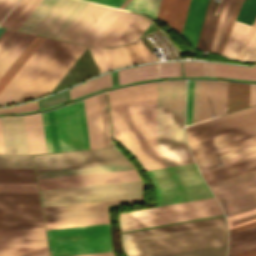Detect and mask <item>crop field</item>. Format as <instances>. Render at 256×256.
Returning <instances> with one entry per match:
<instances>
[{"mask_svg":"<svg viewBox=\"0 0 256 256\" xmlns=\"http://www.w3.org/2000/svg\"><path fill=\"white\" fill-rule=\"evenodd\" d=\"M185 81L135 85L108 92L114 138L145 170L194 162L184 142ZM157 97V120L156 119Z\"/></svg>","mask_w":256,"mask_h":256,"instance_id":"1","label":"crop field"},{"mask_svg":"<svg viewBox=\"0 0 256 256\" xmlns=\"http://www.w3.org/2000/svg\"><path fill=\"white\" fill-rule=\"evenodd\" d=\"M226 223L124 240L128 256H153L194 248L224 244Z\"/></svg>","mask_w":256,"mask_h":256,"instance_id":"2","label":"crop field"},{"mask_svg":"<svg viewBox=\"0 0 256 256\" xmlns=\"http://www.w3.org/2000/svg\"><path fill=\"white\" fill-rule=\"evenodd\" d=\"M147 172L156 188L157 206L212 197L194 163Z\"/></svg>","mask_w":256,"mask_h":256,"instance_id":"3","label":"crop field"},{"mask_svg":"<svg viewBox=\"0 0 256 256\" xmlns=\"http://www.w3.org/2000/svg\"><path fill=\"white\" fill-rule=\"evenodd\" d=\"M221 214L222 209L210 198L122 213L119 222L125 231Z\"/></svg>","mask_w":256,"mask_h":256,"instance_id":"4","label":"crop field"},{"mask_svg":"<svg viewBox=\"0 0 256 256\" xmlns=\"http://www.w3.org/2000/svg\"><path fill=\"white\" fill-rule=\"evenodd\" d=\"M52 256L112 251L108 224L47 230Z\"/></svg>","mask_w":256,"mask_h":256,"instance_id":"5","label":"crop field"},{"mask_svg":"<svg viewBox=\"0 0 256 256\" xmlns=\"http://www.w3.org/2000/svg\"><path fill=\"white\" fill-rule=\"evenodd\" d=\"M86 4L79 0H41L18 29L59 39Z\"/></svg>","mask_w":256,"mask_h":256,"instance_id":"6","label":"crop field"},{"mask_svg":"<svg viewBox=\"0 0 256 256\" xmlns=\"http://www.w3.org/2000/svg\"><path fill=\"white\" fill-rule=\"evenodd\" d=\"M0 229H45L38 194H0Z\"/></svg>","mask_w":256,"mask_h":256,"instance_id":"7","label":"crop field"},{"mask_svg":"<svg viewBox=\"0 0 256 256\" xmlns=\"http://www.w3.org/2000/svg\"><path fill=\"white\" fill-rule=\"evenodd\" d=\"M144 185L142 181H136V182H126V183H116V184H106V185H96V186L45 190V191H40V193H41L43 206H48V205L68 204V203L95 201V200H103V199H118V198L143 196ZM110 192H122V193H113V194H105V195H97V196H89V197H81V198H71V199L50 200V199L62 198V197L110 193Z\"/></svg>","mask_w":256,"mask_h":256,"instance_id":"8","label":"crop field"},{"mask_svg":"<svg viewBox=\"0 0 256 256\" xmlns=\"http://www.w3.org/2000/svg\"><path fill=\"white\" fill-rule=\"evenodd\" d=\"M63 43V41L45 38L0 92V105L15 103Z\"/></svg>","mask_w":256,"mask_h":256,"instance_id":"9","label":"crop field"},{"mask_svg":"<svg viewBox=\"0 0 256 256\" xmlns=\"http://www.w3.org/2000/svg\"><path fill=\"white\" fill-rule=\"evenodd\" d=\"M224 211L236 214L256 208V170L209 184Z\"/></svg>","mask_w":256,"mask_h":256,"instance_id":"10","label":"crop field"},{"mask_svg":"<svg viewBox=\"0 0 256 256\" xmlns=\"http://www.w3.org/2000/svg\"><path fill=\"white\" fill-rule=\"evenodd\" d=\"M86 48L65 42L18 101L50 93Z\"/></svg>","mask_w":256,"mask_h":256,"instance_id":"11","label":"crop field"},{"mask_svg":"<svg viewBox=\"0 0 256 256\" xmlns=\"http://www.w3.org/2000/svg\"><path fill=\"white\" fill-rule=\"evenodd\" d=\"M55 112L62 151L89 149L82 100Z\"/></svg>","mask_w":256,"mask_h":256,"instance_id":"12","label":"crop field"},{"mask_svg":"<svg viewBox=\"0 0 256 256\" xmlns=\"http://www.w3.org/2000/svg\"><path fill=\"white\" fill-rule=\"evenodd\" d=\"M0 256H50L45 230H0Z\"/></svg>","mask_w":256,"mask_h":256,"instance_id":"13","label":"crop field"},{"mask_svg":"<svg viewBox=\"0 0 256 256\" xmlns=\"http://www.w3.org/2000/svg\"><path fill=\"white\" fill-rule=\"evenodd\" d=\"M143 197L43 207L46 222L108 216L107 205L135 203Z\"/></svg>","mask_w":256,"mask_h":256,"instance_id":"14","label":"crop field"},{"mask_svg":"<svg viewBox=\"0 0 256 256\" xmlns=\"http://www.w3.org/2000/svg\"><path fill=\"white\" fill-rule=\"evenodd\" d=\"M150 22L122 10L94 46H115L134 42Z\"/></svg>","mask_w":256,"mask_h":256,"instance_id":"15","label":"crop field"},{"mask_svg":"<svg viewBox=\"0 0 256 256\" xmlns=\"http://www.w3.org/2000/svg\"><path fill=\"white\" fill-rule=\"evenodd\" d=\"M141 180L136 170L38 179L40 190Z\"/></svg>","mask_w":256,"mask_h":256,"instance_id":"16","label":"crop field"},{"mask_svg":"<svg viewBox=\"0 0 256 256\" xmlns=\"http://www.w3.org/2000/svg\"><path fill=\"white\" fill-rule=\"evenodd\" d=\"M112 149V148H108ZM103 150V149H98ZM93 151V150H87ZM84 152V151H76ZM75 153V152H66ZM66 153L36 155L47 156ZM127 159V158H126ZM117 150L34 158L36 169L126 160Z\"/></svg>","mask_w":256,"mask_h":256,"instance_id":"17","label":"crop field"},{"mask_svg":"<svg viewBox=\"0 0 256 256\" xmlns=\"http://www.w3.org/2000/svg\"><path fill=\"white\" fill-rule=\"evenodd\" d=\"M256 124V110L187 131L188 144L197 143Z\"/></svg>","mask_w":256,"mask_h":256,"instance_id":"18","label":"crop field"},{"mask_svg":"<svg viewBox=\"0 0 256 256\" xmlns=\"http://www.w3.org/2000/svg\"><path fill=\"white\" fill-rule=\"evenodd\" d=\"M227 82L201 81L199 121L209 114L226 113Z\"/></svg>","mask_w":256,"mask_h":256,"instance_id":"19","label":"crop field"},{"mask_svg":"<svg viewBox=\"0 0 256 256\" xmlns=\"http://www.w3.org/2000/svg\"><path fill=\"white\" fill-rule=\"evenodd\" d=\"M256 16V0H244L234 24L251 25ZM250 26L234 25L223 55L235 59Z\"/></svg>","mask_w":256,"mask_h":256,"instance_id":"20","label":"crop field"},{"mask_svg":"<svg viewBox=\"0 0 256 256\" xmlns=\"http://www.w3.org/2000/svg\"><path fill=\"white\" fill-rule=\"evenodd\" d=\"M0 121L5 154H29L23 116L2 117Z\"/></svg>","mask_w":256,"mask_h":256,"instance_id":"21","label":"crop field"},{"mask_svg":"<svg viewBox=\"0 0 256 256\" xmlns=\"http://www.w3.org/2000/svg\"><path fill=\"white\" fill-rule=\"evenodd\" d=\"M134 169L128 161L36 170L38 178Z\"/></svg>","mask_w":256,"mask_h":256,"instance_id":"22","label":"crop field"},{"mask_svg":"<svg viewBox=\"0 0 256 256\" xmlns=\"http://www.w3.org/2000/svg\"><path fill=\"white\" fill-rule=\"evenodd\" d=\"M119 84L135 80L177 76L175 62L136 66L117 71Z\"/></svg>","mask_w":256,"mask_h":256,"instance_id":"23","label":"crop field"},{"mask_svg":"<svg viewBox=\"0 0 256 256\" xmlns=\"http://www.w3.org/2000/svg\"><path fill=\"white\" fill-rule=\"evenodd\" d=\"M104 8L88 3L60 39L77 43Z\"/></svg>","mask_w":256,"mask_h":256,"instance_id":"24","label":"crop field"},{"mask_svg":"<svg viewBox=\"0 0 256 256\" xmlns=\"http://www.w3.org/2000/svg\"><path fill=\"white\" fill-rule=\"evenodd\" d=\"M207 2V0H190L182 36H184L193 47H196Z\"/></svg>","mask_w":256,"mask_h":256,"instance_id":"25","label":"crop field"},{"mask_svg":"<svg viewBox=\"0 0 256 256\" xmlns=\"http://www.w3.org/2000/svg\"><path fill=\"white\" fill-rule=\"evenodd\" d=\"M188 3L189 0H161L156 18L165 21L180 35Z\"/></svg>","mask_w":256,"mask_h":256,"instance_id":"26","label":"crop field"},{"mask_svg":"<svg viewBox=\"0 0 256 256\" xmlns=\"http://www.w3.org/2000/svg\"><path fill=\"white\" fill-rule=\"evenodd\" d=\"M256 136V125L239 131H235L223 136L206 140L197 144L190 145L192 154H198L204 151L215 149L221 146L232 144L238 141L249 139Z\"/></svg>","mask_w":256,"mask_h":256,"instance_id":"27","label":"crop field"},{"mask_svg":"<svg viewBox=\"0 0 256 256\" xmlns=\"http://www.w3.org/2000/svg\"><path fill=\"white\" fill-rule=\"evenodd\" d=\"M211 1L212 0H209L208 6L206 9L204 21L202 24L201 32H200L197 47H196L197 49H199L200 46L208 47V48L211 47L212 39L214 36L215 28L217 25L218 17H219L221 6H222L218 4H222L223 0H213L214 3H218V4L211 3ZM203 47H201L200 49H204L208 51L210 50L208 48H203Z\"/></svg>","mask_w":256,"mask_h":256,"instance_id":"28","label":"crop field"},{"mask_svg":"<svg viewBox=\"0 0 256 256\" xmlns=\"http://www.w3.org/2000/svg\"><path fill=\"white\" fill-rule=\"evenodd\" d=\"M24 119L30 154L46 153L40 113Z\"/></svg>","mask_w":256,"mask_h":256,"instance_id":"29","label":"crop field"},{"mask_svg":"<svg viewBox=\"0 0 256 256\" xmlns=\"http://www.w3.org/2000/svg\"><path fill=\"white\" fill-rule=\"evenodd\" d=\"M120 11V9L106 7L78 43L93 46Z\"/></svg>","mask_w":256,"mask_h":256,"instance_id":"30","label":"crop field"},{"mask_svg":"<svg viewBox=\"0 0 256 256\" xmlns=\"http://www.w3.org/2000/svg\"><path fill=\"white\" fill-rule=\"evenodd\" d=\"M90 149L102 147L95 96L84 99Z\"/></svg>","mask_w":256,"mask_h":256,"instance_id":"31","label":"crop field"},{"mask_svg":"<svg viewBox=\"0 0 256 256\" xmlns=\"http://www.w3.org/2000/svg\"><path fill=\"white\" fill-rule=\"evenodd\" d=\"M249 84L228 82L227 113L248 106Z\"/></svg>","mask_w":256,"mask_h":256,"instance_id":"32","label":"crop field"},{"mask_svg":"<svg viewBox=\"0 0 256 256\" xmlns=\"http://www.w3.org/2000/svg\"><path fill=\"white\" fill-rule=\"evenodd\" d=\"M44 37L35 35V37L30 41V43L25 47L21 54L16 58L8 70L0 78V91L9 82V80L14 76L18 69L23 65V63L28 59V57L33 53V51L38 47V45L43 41Z\"/></svg>","mask_w":256,"mask_h":256,"instance_id":"33","label":"crop field"},{"mask_svg":"<svg viewBox=\"0 0 256 256\" xmlns=\"http://www.w3.org/2000/svg\"><path fill=\"white\" fill-rule=\"evenodd\" d=\"M222 222H225L224 217L167 226V227H161V228H155V229H149V230H143V231H137V232H131V233H125V234H122V240L144 236V235H150V234H156V233H162V232H168V231H174V230H180V229H186V228H192V227H198V226H204V225H210V224H216V223H222Z\"/></svg>","mask_w":256,"mask_h":256,"instance_id":"34","label":"crop field"},{"mask_svg":"<svg viewBox=\"0 0 256 256\" xmlns=\"http://www.w3.org/2000/svg\"><path fill=\"white\" fill-rule=\"evenodd\" d=\"M39 1L40 0H21L0 25L17 29Z\"/></svg>","mask_w":256,"mask_h":256,"instance_id":"35","label":"crop field"},{"mask_svg":"<svg viewBox=\"0 0 256 256\" xmlns=\"http://www.w3.org/2000/svg\"><path fill=\"white\" fill-rule=\"evenodd\" d=\"M217 77L256 80V66H233L214 63Z\"/></svg>","mask_w":256,"mask_h":256,"instance_id":"36","label":"crop field"},{"mask_svg":"<svg viewBox=\"0 0 256 256\" xmlns=\"http://www.w3.org/2000/svg\"><path fill=\"white\" fill-rule=\"evenodd\" d=\"M54 152L61 151L55 113L48 112ZM47 112L41 113L47 153L53 152Z\"/></svg>","mask_w":256,"mask_h":256,"instance_id":"37","label":"crop field"},{"mask_svg":"<svg viewBox=\"0 0 256 256\" xmlns=\"http://www.w3.org/2000/svg\"><path fill=\"white\" fill-rule=\"evenodd\" d=\"M112 86L110 73L71 88L73 99L88 92Z\"/></svg>","mask_w":256,"mask_h":256,"instance_id":"38","label":"crop field"},{"mask_svg":"<svg viewBox=\"0 0 256 256\" xmlns=\"http://www.w3.org/2000/svg\"><path fill=\"white\" fill-rule=\"evenodd\" d=\"M0 182H36L34 169H0Z\"/></svg>","mask_w":256,"mask_h":256,"instance_id":"39","label":"crop field"},{"mask_svg":"<svg viewBox=\"0 0 256 256\" xmlns=\"http://www.w3.org/2000/svg\"><path fill=\"white\" fill-rule=\"evenodd\" d=\"M33 36V34L24 33L23 36L14 45V47L10 50V52L5 56V58L0 63V77L15 60V58L20 54L28 42L33 38Z\"/></svg>","mask_w":256,"mask_h":256,"instance_id":"40","label":"crop field"},{"mask_svg":"<svg viewBox=\"0 0 256 256\" xmlns=\"http://www.w3.org/2000/svg\"><path fill=\"white\" fill-rule=\"evenodd\" d=\"M254 144H256V137L252 138V139H249V140L242 141V142H238V143H235V144H232V145L221 147V148H218V149H215V150L204 152V153H201V154H198V155H194L193 157L196 160V162H198V161L210 158V157H214V156H217V155H220V154H224V153L234 151V150H237V149H240V148H244V147H247V146H251V145H254Z\"/></svg>","mask_w":256,"mask_h":256,"instance_id":"41","label":"crop field"},{"mask_svg":"<svg viewBox=\"0 0 256 256\" xmlns=\"http://www.w3.org/2000/svg\"><path fill=\"white\" fill-rule=\"evenodd\" d=\"M159 2L160 0H131L125 9L156 17Z\"/></svg>","mask_w":256,"mask_h":256,"instance_id":"42","label":"crop field"},{"mask_svg":"<svg viewBox=\"0 0 256 256\" xmlns=\"http://www.w3.org/2000/svg\"><path fill=\"white\" fill-rule=\"evenodd\" d=\"M226 244L162 256H225Z\"/></svg>","mask_w":256,"mask_h":256,"instance_id":"43","label":"crop field"},{"mask_svg":"<svg viewBox=\"0 0 256 256\" xmlns=\"http://www.w3.org/2000/svg\"><path fill=\"white\" fill-rule=\"evenodd\" d=\"M0 168H34L30 156H0Z\"/></svg>","mask_w":256,"mask_h":256,"instance_id":"44","label":"crop field"},{"mask_svg":"<svg viewBox=\"0 0 256 256\" xmlns=\"http://www.w3.org/2000/svg\"><path fill=\"white\" fill-rule=\"evenodd\" d=\"M0 193H38L36 183H0Z\"/></svg>","mask_w":256,"mask_h":256,"instance_id":"45","label":"crop field"},{"mask_svg":"<svg viewBox=\"0 0 256 256\" xmlns=\"http://www.w3.org/2000/svg\"><path fill=\"white\" fill-rule=\"evenodd\" d=\"M114 68L132 64L124 47L105 48Z\"/></svg>","mask_w":256,"mask_h":256,"instance_id":"46","label":"crop field"},{"mask_svg":"<svg viewBox=\"0 0 256 256\" xmlns=\"http://www.w3.org/2000/svg\"><path fill=\"white\" fill-rule=\"evenodd\" d=\"M253 157H256V149L251 150V151H247V152L235 155V156H231V157H228V158H225V159H222V160H218V161L206 164V165L199 166V169L214 165L215 163L221 162V161H223L224 165L226 166V165H230V164H233V163H236V162H239V161H243V160H246V159H249V158H253ZM216 168H218V167L215 166V167H212V168H209V169L201 170V173L206 172V171H210V170H213V169H216Z\"/></svg>","mask_w":256,"mask_h":256,"instance_id":"47","label":"crop field"},{"mask_svg":"<svg viewBox=\"0 0 256 256\" xmlns=\"http://www.w3.org/2000/svg\"><path fill=\"white\" fill-rule=\"evenodd\" d=\"M228 227L233 228L246 223L256 221V209L227 217Z\"/></svg>","mask_w":256,"mask_h":256,"instance_id":"48","label":"crop field"},{"mask_svg":"<svg viewBox=\"0 0 256 256\" xmlns=\"http://www.w3.org/2000/svg\"><path fill=\"white\" fill-rule=\"evenodd\" d=\"M100 72L113 69V66L104 50V48H89Z\"/></svg>","mask_w":256,"mask_h":256,"instance_id":"49","label":"crop field"},{"mask_svg":"<svg viewBox=\"0 0 256 256\" xmlns=\"http://www.w3.org/2000/svg\"><path fill=\"white\" fill-rule=\"evenodd\" d=\"M107 147L113 146L105 94H99Z\"/></svg>","mask_w":256,"mask_h":256,"instance_id":"50","label":"crop field"},{"mask_svg":"<svg viewBox=\"0 0 256 256\" xmlns=\"http://www.w3.org/2000/svg\"><path fill=\"white\" fill-rule=\"evenodd\" d=\"M256 238V227L229 235L228 247Z\"/></svg>","mask_w":256,"mask_h":256,"instance_id":"51","label":"crop field"},{"mask_svg":"<svg viewBox=\"0 0 256 256\" xmlns=\"http://www.w3.org/2000/svg\"><path fill=\"white\" fill-rule=\"evenodd\" d=\"M23 32L13 30L12 33L7 37V39L0 46V61L8 53V51L13 47L17 40L22 36Z\"/></svg>","mask_w":256,"mask_h":256,"instance_id":"52","label":"crop field"},{"mask_svg":"<svg viewBox=\"0 0 256 256\" xmlns=\"http://www.w3.org/2000/svg\"><path fill=\"white\" fill-rule=\"evenodd\" d=\"M68 99H69L68 92L66 90L62 93H59V94L55 95V96H52V97H49V98H46V99H43V100H39L38 101L39 109L43 108V107H49V106H52V105H55V104L62 103L64 101L68 100Z\"/></svg>","mask_w":256,"mask_h":256,"instance_id":"53","label":"crop field"},{"mask_svg":"<svg viewBox=\"0 0 256 256\" xmlns=\"http://www.w3.org/2000/svg\"><path fill=\"white\" fill-rule=\"evenodd\" d=\"M236 2H237V0H231V2L229 4L228 11H227V14H226V17H225V20H224V23H223V26H222V29H221V32H220V36H219V39H218L215 51H214L216 53L219 50L220 44L222 42L223 36L225 34V31H226V28L228 26V23L230 21V18H231V15L233 13V10H234V7L236 5Z\"/></svg>","mask_w":256,"mask_h":256,"instance_id":"54","label":"crop field"},{"mask_svg":"<svg viewBox=\"0 0 256 256\" xmlns=\"http://www.w3.org/2000/svg\"><path fill=\"white\" fill-rule=\"evenodd\" d=\"M256 248V239L228 248L227 256L235 255Z\"/></svg>","mask_w":256,"mask_h":256,"instance_id":"55","label":"crop field"},{"mask_svg":"<svg viewBox=\"0 0 256 256\" xmlns=\"http://www.w3.org/2000/svg\"><path fill=\"white\" fill-rule=\"evenodd\" d=\"M241 60H244L247 62L256 61V31Z\"/></svg>","mask_w":256,"mask_h":256,"instance_id":"56","label":"crop field"},{"mask_svg":"<svg viewBox=\"0 0 256 256\" xmlns=\"http://www.w3.org/2000/svg\"><path fill=\"white\" fill-rule=\"evenodd\" d=\"M194 80L188 81L186 125L191 124Z\"/></svg>","mask_w":256,"mask_h":256,"instance_id":"57","label":"crop field"},{"mask_svg":"<svg viewBox=\"0 0 256 256\" xmlns=\"http://www.w3.org/2000/svg\"><path fill=\"white\" fill-rule=\"evenodd\" d=\"M124 47L133 64L144 61L135 43L125 45Z\"/></svg>","mask_w":256,"mask_h":256,"instance_id":"58","label":"crop field"},{"mask_svg":"<svg viewBox=\"0 0 256 256\" xmlns=\"http://www.w3.org/2000/svg\"><path fill=\"white\" fill-rule=\"evenodd\" d=\"M253 109H256V105L245 108V109H242V110H239V111H235V112H232V113H229V114L217 117V118H213V119H210V120L198 123V124L188 126V127H186V130L190 129V128L197 127V126H200V125H204V124H207V123H210V122H213V121H217V120H220V119H223V118H227V117H230V116H233V115H236V114H240V113H243V112H246V111H249V110H253Z\"/></svg>","mask_w":256,"mask_h":256,"instance_id":"59","label":"crop field"},{"mask_svg":"<svg viewBox=\"0 0 256 256\" xmlns=\"http://www.w3.org/2000/svg\"><path fill=\"white\" fill-rule=\"evenodd\" d=\"M229 1L230 0H224L222 11H221V14H220V18H219V21H218L217 29H216L215 36H214L213 43H212V47H211L212 49L215 48L217 38H218L222 23H223V20H224V17H225V13H226Z\"/></svg>","mask_w":256,"mask_h":256,"instance_id":"60","label":"crop field"},{"mask_svg":"<svg viewBox=\"0 0 256 256\" xmlns=\"http://www.w3.org/2000/svg\"><path fill=\"white\" fill-rule=\"evenodd\" d=\"M200 81L195 80L192 123L198 121V98Z\"/></svg>","mask_w":256,"mask_h":256,"instance_id":"61","label":"crop field"},{"mask_svg":"<svg viewBox=\"0 0 256 256\" xmlns=\"http://www.w3.org/2000/svg\"><path fill=\"white\" fill-rule=\"evenodd\" d=\"M200 76H215L213 63L198 62Z\"/></svg>","mask_w":256,"mask_h":256,"instance_id":"62","label":"crop field"},{"mask_svg":"<svg viewBox=\"0 0 256 256\" xmlns=\"http://www.w3.org/2000/svg\"><path fill=\"white\" fill-rule=\"evenodd\" d=\"M242 2H243V0H239L238 3H237V5H236V7H235V10H234V13H233V15H232L231 21H230V23H229L228 29H227V31H226V34H225V36H224V39H223V42H222V44H221L220 50H219V52H218V53H220V54H221L222 51H223L224 45H225V43H226V40H227L228 35H229V33H230L231 27H232V25H233V22H234V20H235V17H236V15H237V13H238V10H239V8H240Z\"/></svg>","mask_w":256,"mask_h":256,"instance_id":"63","label":"crop field"},{"mask_svg":"<svg viewBox=\"0 0 256 256\" xmlns=\"http://www.w3.org/2000/svg\"><path fill=\"white\" fill-rule=\"evenodd\" d=\"M185 76H199L197 62H183Z\"/></svg>","mask_w":256,"mask_h":256,"instance_id":"64","label":"crop field"},{"mask_svg":"<svg viewBox=\"0 0 256 256\" xmlns=\"http://www.w3.org/2000/svg\"><path fill=\"white\" fill-rule=\"evenodd\" d=\"M16 1L17 0H0V21L16 3Z\"/></svg>","mask_w":256,"mask_h":256,"instance_id":"65","label":"crop field"},{"mask_svg":"<svg viewBox=\"0 0 256 256\" xmlns=\"http://www.w3.org/2000/svg\"><path fill=\"white\" fill-rule=\"evenodd\" d=\"M255 28H256V19H255V21H254V23H253V25H252V27H251L247 37H246V39H245V41H244V43H243V45H242V47H241L237 57H236V59H238V60L241 59V57H242V55H243V53H244V51H245V49H246L250 39L252 37V34H253Z\"/></svg>","mask_w":256,"mask_h":256,"instance_id":"66","label":"crop field"},{"mask_svg":"<svg viewBox=\"0 0 256 256\" xmlns=\"http://www.w3.org/2000/svg\"><path fill=\"white\" fill-rule=\"evenodd\" d=\"M254 148H256V145L252 146V147L242 149V150H238V151H235V152H232V153H229V154H225V155H222V156H219V157H216V158H212V159H209V160L198 162L197 165L199 166V165H202V164H206V163H209V162H212V161H215V160H218V159H222V158H225V157H228V156H231V155H235V154H238V153H241V152H244V151H247V150H251V149H254Z\"/></svg>","mask_w":256,"mask_h":256,"instance_id":"67","label":"crop field"},{"mask_svg":"<svg viewBox=\"0 0 256 256\" xmlns=\"http://www.w3.org/2000/svg\"><path fill=\"white\" fill-rule=\"evenodd\" d=\"M89 1H94V2L119 8V6L123 3L124 0H89Z\"/></svg>","mask_w":256,"mask_h":256,"instance_id":"68","label":"crop field"},{"mask_svg":"<svg viewBox=\"0 0 256 256\" xmlns=\"http://www.w3.org/2000/svg\"><path fill=\"white\" fill-rule=\"evenodd\" d=\"M256 104V84H250L249 106Z\"/></svg>","mask_w":256,"mask_h":256,"instance_id":"69","label":"crop field"},{"mask_svg":"<svg viewBox=\"0 0 256 256\" xmlns=\"http://www.w3.org/2000/svg\"><path fill=\"white\" fill-rule=\"evenodd\" d=\"M96 99H97V107H98V114H99V121H100L102 144H103V147H106L98 95L96 96Z\"/></svg>","mask_w":256,"mask_h":256,"instance_id":"70","label":"crop field"},{"mask_svg":"<svg viewBox=\"0 0 256 256\" xmlns=\"http://www.w3.org/2000/svg\"><path fill=\"white\" fill-rule=\"evenodd\" d=\"M253 226H256V222H253V223H250V224H246V225H243V226H240V227H237V228L230 229L229 230V234L233 233V232H237V231L243 230V229H246V228H249V227H253Z\"/></svg>","mask_w":256,"mask_h":256,"instance_id":"71","label":"crop field"},{"mask_svg":"<svg viewBox=\"0 0 256 256\" xmlns=\"http://www.w3.org/2000/svg\"><path fill=\"white\" fill-rule=\"evenodd\" d=\"M136 44H137V46H138V48H139V50H140L144 60L145 61H150L148 56H147V54H146V52H145V49H144V47H143V45H142V43L140 41V39L136 42Z\"/></svg>","mask_w":256,"mask_h":256,"instance_id":"72","label":"crop field"},{"mask_svg":"<svg viewBox=\"0 0 256 256\" xmlns=\"http://www.w3.org/2000/svg\"><path fill=\"white\" fill-rule=\"evenodd\" d=\"M77 256H113L112 252L107 253H97V254H87V255H77Z\"/></svg>","mask_w":256,"mask_h":256,"instance_id":"73","label":"crop field"},{"mask_svg":"<svg viewBox=\"0 0 256 256\" xmlns=\"http://www.w3.org/2000/svg\"><path fill=\"white\" fill-rule=\"evenodd\" d=\"M235 256H256V249Z\"/></svg>","mask_w":256,"mask_h":256,"instance_id":"74","label":"crop field"},{"mask_svg":"<svg viewBox=\"0 0 256 256\" xmlns=\"http://www.w3.org/2000/svg\"><path fill=\"white\" fill-rule=\"evenodd\" d=\"M12 30L6 29L5 32L0 36V45L6 39V37L11 33Z\"/></svg>","mask_w":256,"mask_h":256,"instance_id":"75","label":"crop field"},{"mask_svg":"<svg viewBox=\"0 0 256 256\" xmlns=\"http://www.w3.org/2000/svg\"><path fill=\"white\" fill-rule=\"evenodd\" d=\"M0 154H4L2 136H1V129H0Z\"/></svg>","mask_w":256,"mask_h":256,"instance_id":"76","label":"crop field"},{"mask_svg":"<svg viewBox=\"0 0 256 256\" xmlns=\"http://www.w3.org/2000/svg\"><path fill=\"white\" fill-rule=\"evenodd\" d=\"M176 65H177V73H178V76H181V72H180V62H176Z\"/></svg>","mask_w":256,"mask_h":256,"instance_id":"77","label":"crop field"},{"mask_svg":"<svg viewBox=\"0 0 256 256\" xmlns=\"http://www.w3.org/2000/svg\"><path fill=\"white\" fill-rule=\"evenodd\" d=\"M129 1L130 0H126L122 5H121V7L120 8H122V9H124L125 8V6L129 3Z\"/></svg>","mask_w":256,"mask_h":256,"instance_id":"78","label":"crop field"},{"mask_svg":"<svg viewBox=\"0 0 256 256\" xmlns=\"http://www.w3.org/2000/svg\"><path fill=\"white\" fill-rule=\"evenodd\" d=\"M5 28L0 27V35L4 32Z\"/></svg>","mask_w":256,"mask_h":256,"instance_id":"79","label":"crop field"}]
</instances>
